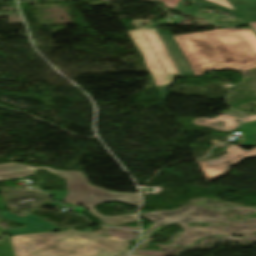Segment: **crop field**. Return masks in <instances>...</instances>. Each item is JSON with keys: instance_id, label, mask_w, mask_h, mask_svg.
<instances>
[{"instance_id": "obj_14", "label": "crop field", "mask_w": 256, "mask_h": 256, "mask_svg": "<svg viewBox=\"0 0 256 256\" xmlns=\"http://www.w3.org/2000/svg\"><path fill=\"white\" fill-rule=\"evenodd\" d=\"M47 192H51V191H47ZM52 195H54V199L58 200V201H64L66 195L68 194L67 192H51Z\"/></svg>"}, {"instance_id": "obj_21", "label": "crop field", "mask_w": 256, "mask_h": 256, "mask_svg": "<svg viewBox=\"0 0 256 256\" xmlns=\"http://www.w3.org/2000/svg\"><path fill=\"white\" fill-rule=\"evenodd\" d=\"M128 254H129V251H126V252L120 254L119 256H127Z\"/></svg>"}, {"instance_id": "obj_6", "label": "crop field", "mask_w": 256, "mask_h": 256, "mask_svg": "<svg viewBox=\"0 0 256 256\" xmlns=\"http://www.w3.org/2000/svg\"><path fill=\"white\" fill-rule=\"evenodd\" d=\"M78 233L71 230L61 234H34L12 237L15 256H47L46 249Z\"/></svg>"}, {"instance_id": "obj_4", "label": "crop field", "mask_w": 256, "mask_h": 256, "mask_svg": "<svg viewBox=\"0 0 256 256\" xmlns=\"http://www.w3.org/2000/svg\"><path fill=\"white\" fill-rule=\"evenodd\" d=\"M37 169H47L59 176L68 179V190L72 193L80 195L96 204L107 201H122L124 203L139 206V194H118L111 193L106 190L94 187L86 181L85 176L81 172H61L53 171L48 168H32L29 166L8 163L0 165V181L10 178H23L35 173Z\"/></svg>"}, {"instance_id": "obj_1", "label": "crop field", "mask_w": 256, "mask_h": 256, "mask_svg": "<svg viewBox=\"0 0 256 256\" xmlns=\"http://www.w3.org/2000/svg\"><path fill=\"white\" fill-rule=\"evenodd\" d=\"M175 38L196 76L206 70L256 67V35L251 29L231 28Z\"/></svg>"}, {"instance_id": "obj_24", "label": "crop field", "mask_w": 256, "mask_h": 256, "mask_svg": "<svg viewBox=\"0 0 256 256\" xmlns=\"http://www.w3.org/2000/svg\"><path fill=\"white\" fill-rule=\"evenodd\" d=\"M255 71H256V69H255Z\"/></svg>"}, {"instance_id": "obj_11", "label": "crop field", "mask_w": 256, "mask_h": 256, "mask_svg": "<svg viewBox=\"0 0 256 256\" xmlns=\"http://www.w3.org/2000/svg\"><path fill=\"white\" fill-rule=\"evenodd\" d=\"M238 120H241L239 118L231 117L229 115H221L219 117H216L214 119H197L194 120V123L199 126H209L213 127L215 129L217 128V123L220 121H225L226 124L223 129H218L220 131H229L235 129L237 126H239Z\"/></svg>"}, {"instance_id": "obj_10", "label": "crop field", "mask_w": 256, "mask_h": 256, "mask_svg": "<svg viewBox=\"0 0 256 256\" xmlns=\"http://www.w3.org/2000/svg\"><path fill=\"white\" fill-rule=\"evenodd\" d=\"M65 202H69V203L77 204V205H80V206L88 207L94 215L99 217L106 224H122V223L137 220L136 219V214H134V215H125V216H120V217H103L102 215H100V214H98L94 211V209H93V206L95 205L94 203H92V202H90V201H88V200H86V199H84L80 196L72 194L70 192L67 195V197L65 199Z\"/></svg>"}, {"instance_id": "obj_5", "label": "crop field", "mask_w": 256, "mask_h": 256, "mask_svg": "<svg viewBox=\"0 0 256 256\" xmlns=\"http://www.w3.org/2000/svg\"><path fill=\"white\" fill-rule=\"evenodd\" d=\"M130 243L78 233L46 250L48 256H115Z\"/></svg>"}, {"instance_id": "obj_18", "label": "crop field", "mask_w": 256, "mask_h": 256, "mask_svg": "<svg viewBox=\"0 0 256 256\" xmlns=\"http://www.w3.org/2000/svg\"><path fill=\"white\" fill-rule=\"evenodd\" d=\"M253 120H256V116L247 117L244 119V122H249V121H253Z\"/></svg>"}, {"instance_id": "obj_23", "label": "crop field", "mask_w": 256, "mask_h": 256, "mask_svg": "<svg viewBox=\"0 0 256 256\" xmlns=\"http://www.w3.org/2000/svg\"><path fill=\"white\" fill-rule=\"evenodd\" d=\"M132 256H136V255H132Z\"/></svg>"}, {"instance_id": "obj_9", "label": "crop field", "mask_w": 256, "mask_h": 256, "mask_svg": "<svg viewBox=\"0 0 256 256\" xmlns=\"http://www.w3.org/2000/svg\"><path fill=\"white\" fill-rule=\"evenodd\" d=\"M2 217L28 225L22 229L8 230L9 234L46 232L56 228L51 223L45 222L34 215L18 217L12 213L0 211Z\"/></svg>"}, {"instance_id": "obj_17", "label": "crop field", "mask_w": 256, "mask_h": 256, "mask_svg": "<svg viewBox=\"0 0 256 256\" xmlns=\"http://www.w3.org/2000/svg\"><path fill=\"white\" fill-rule=\"evenodd\" d=\"M67 208L68 207H74V208H76V209H74V210H72V211H74V212H77V213H80V212H82V211H84V209H82L81 207H79V206H74V205H69V204H67V205H65ZM85 212V211H84Z\"/></svg>"}, {"instance_id": "obj_7", "label": "crop field", "mask_w": 256, "mask_h": 256, "mask_svg": "<svg viewBox=\"0 0 256 256\" xmlns=\"http://www.w3.org/2000/svg\"><path fill=\"white\" fill-rule=\"evenodd\" d=\"M157 1H161L165 3V6L168 8H172L174 10L180 11L182 13H185L189 16H193V17H197V18H201L206 20L208 23L212 24V25H216V26H221V27H225V28H230V27H236V26H240V25H245L246 23L238 16L237 13L227 10L225 8L219 7L217 5L211 4V3H194L192 7L187 8L184 6H180L178 5L180 3L181 0H157ZM202 7H212V8H217L220 9L222 11L231 13L233 15H235L239 21V23H234V24H229L227 22L222 23V25L219 24H215L217 21L216 18L218 17H223L222 15H215V14H206V13H202L199 11L200 8Z\"/></svg>"}, {"instance_id": "obj_19", "label": "crop field", "mask_w": 256, "mask_h": 256, "mask_svg": "<svg viewBox=\"0 0 256 256\" xmlns=\"http://www.w3.org/2000/svg\"><path fill=\"white\" fill-rule=\"evenodd\" d=\"M242 1H255V0H242ZM251 25V27L254 29V31L256 32V22L255 23H249Z\"/></svg>"}, {"instance_id": "obj_13", "label": "crop field", "mask_w": 256, "mask_h": 256, "mask_svg": "<svg viewBox=\"0 0 256 256\" xmlns=\"http://www.w3.org/2000/svg\"><path fill=\"white\" fill-rule=\"evenodd\" d=\"M1 243L2 245L0 246V254L2 256H14L10 237H7V239L1 241Z\"/></svg>"}, {"instance_id": "obj_15", "label": "crop field", "mask_w": 256, "mask_h": 256, "mask_svg": "<svg viewBox=\"0 0 256 256\" xmlns=\"http://www.w3.org/2000/svg\"><path fill=\"white\" fill-rule=\"evenodd\" d=\"M219 5L235 10L227 0H209ZM236 11V10H235Z\"/></svg>"}, {"instance_id": "obj_2", "label": "crop field", "mask_w": 256, "mask_h": 256, "mask_svg": "<svg viewBox=\"0 0 256 256\" xmlns=\"http://www.w3.org/2000/svg\"><path fill=\"white\" fill-rule=\"evenodd\" d=\"M224 210H229L236 215H248L251 212H256V210L252 208L245 207H229L220 211H211L200 206H186L177 211L142 214L143 217L154 222V225L144 232L142 241L147 239L148 236L160 226L170 223H178L185 229V232L170 244L171 246L175 244L190 245L197 239L214 235L255 237L256 218L248 219L247 221H229L226 216L221 214ZM195 222L212 224L228 222V224L226 227L212 225L207 228H194L186 225V223Z\"/></svg>"}, {"instance_id": "obj_16", "label": "crop field", "mask_w": 256, "mask_h": 256, "mask_svg": "<svg viewBox=\"0 0 256 256\" xmlns=\"http://www.w3.org/2000/svg\"><path fill=\"white\" fill-rule=\"evenodd\" d=\"M1 222H2V219H1V217H0V239H3L4 237L7 236V232H6V229L1 226ZM4 233H6V236H1V235H3Z\"/></svg>"}, {"instance_id": "obj_20", "label": "crop field", "mask_w": 256, "mask_h": 256, "mask_svg": "<svg viewBox=\"0 0 256 256\" xmlns=\"http://www.w3.org/2000/svg\"><path fill=\"white\" fill-rule=\"evenodd\" d=\"M0 210H5L2 200L0 199Z\"/></svg>"}, {"instance_id": "obj_22", "label": "crop field", "mask_w": 256, "mask_h": 256, "mask_svg": "<svg viewBox=\"0 0 256 256\" xmlns=\"http://www.w3.org/2000/svg\"><path fill=\"white\" fill-rule=\"evenodd\" d=\"M49 206H57V205H60L59 203H51V204H48Z\"/></svg>"}, {"instance_id": "obj_3", "label": "crop field", "mask_w": 256, "mask_h": 256, "mask_svg": "<svg viewBox=\"0 0 256 256\" xmlns=\"http://www.w3.org/2000/svg\"><path fill=\"white\" fill-rule=\"evenodd\" d=\"M128 33L162 98L168 95L167 89L170 88L173 76H195L169 31L146 27ZM166 55L169 57H165Z\"/></svg>"}, {"instance_id": "obj_8", "label": "crop field", "mask_w": 256, "mask_h": 256, "mask_svg": "<svg viewBox=\"0 0 256 256\" xmlns=\"http://www.w3.org/2000/svg\"><path fill=\"white\" fill-rule=\"evenodd\" d=\"M226 150L229 152V154L220 158L222 160L220 164L210 166L207 164V162L199 163L208 181L226 174L229 166L237 164L245 158L256 157V148L247 152L239 147L232 146Z\"/></svg>"}, {"instance_id": "obj_12", "label": "crop field", "mask_w": 256, "mask_h": 256, "mask_svg": "<svg viewBox=\"0 0 256 256\" xmlns=\"http://www.w3.org/2000/svg\"><path fill=\"white\" fill-rule=\"evenodd\" d=\"M243 133H245V137L241 141V144L255 146L256 139V121L243 124L239 128Z\"/></svg>"}]
</instances>
